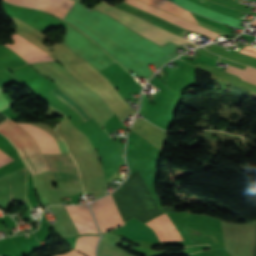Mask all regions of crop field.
I'll list each match as a JSON object with an SVG mask.
<instances>
[{
	"instance_id": "28ad6ade",
	"label": "crop field",
	"mask_w": 256,
	"mask_h": 256,
	"mask_svg": "<svg viewBox=\"0 0 256 256\" xmlns=\"http://www.w3.org/2000/svg\"><path fill=\"white\" fill-rule=\"evenodd\" d=\"M190 1H192L196 4H199L201 6H204L206 8L212 9L214 11H217L219 13L237 18V19H239V17L243 13L241 11H237V10H234V9H231V8H227V7H224L220 4L212 3V2L207 1V0H190Z\"/></svg>"
},
{
	"instance_id": "5a996713",
	"label": "crop field",
	"mask_w": 256,
	"mask_h": 256,
	"mask_svg": "<svg viewBox=\"0 0 256 256\" xmlns=\"http://www.w3.org/2000/svg\"><path fill=\"white\" fill-rule=\"evenodd\" d=\"M142 1L147 2L151 5L156 6L162 10H165L171 14H174L178 17H181L183 19H186L190 22L197 24L195 19L193 18V16L188 11H186V10H184L166 0H142Z\"/></svg>"
},
{
	"instance_id": "d8731c3e",
	"label": "crop field",
	"mask_w": 256,
	"mask_h": 256,
	"mask_svg": "<svg viewBox=\"0 0 256 256\" xmlns=\"http://www.w3.org/2000/svg\"><path fill=\"white\" fill-rule=\"evenodd\" d=\"M79 234H98L87 205L65 206Z\"/></svg>"
},
{
	"instance_id": "3316defc",
	"label": "crop field",
	"mask_w": 256,
	"mask_h": 256,
	"mask_svg": "<svg viewBox=\"0 0 256 256\" xmlns=\"http://www.w3.org/2000/svg\"><path fill=\"white\" fill-rule=\"evenodd\" d=\"M99 236H84L80 237L74 250L86 255L95 256V245Z\"/></svg>"
},
{
	"instance_id": "d9b57169",
	"label": "crop field",
	"mask_w": 256,
	"mask_h": 256,
	"mask_svg": "<svg viewBox=\"0 0 256 256\" xmlns=\"http://www.w3.org/2000/svg\"><path fill=\"white\" fill-rule=\"evenodd\" d=\"M238 52H242V53L256 57V48L250 47L248 45L240 49Z\"/></svg>"
},
{
	"instance_id": "34b2d1b8",
	"label": "crop field",
	"mask_w": 256,
	"mask_h": 256,
	"mask_svg": "<svg viewBox=\"0 0 256 256\" xmlns=\"http://www.w3.org/2000/svg\"><path fill=\"white\" fill-rule=\"evenodd\" d=\"M91 207L102 232L124 224L111 195L91 203Z\"/></svg>"
},
{
	"instance_id": "8a807250",
	"label": "crop field",
	"mask_w": 256,
	"mask_h": 256,
	"mask_svg": "<svg viewBox=\"0 0 256 256\" xmlns=\"http://www.w3.org/2000/svg\"><path fill=\"white\" fill-rule=\"evenodd\" d=\"M0 132L18 149L32 175L50 169L54 180L78 184L80 175L70 154H42L48 169L34 139L16 123L9 119L4 121L0 124Z\"/></svg>"
},
{
	"instance_id": "733c2abd",
	"label": "crop field",
	"mask_w": 256,
	"mask_h": 256,
	"mask_svg": "<svg viewBox=\"0 0 256 256\" xmlns=\"http://www.w3.org/2000/svg\"><path fill=\"white\" fill-rule=\"evenodd\" d=\"M0 91L2 90L0 89ZM8 107H10V104L7 102V100L4 98V96L0 92V111Z\"/></svg>"
},
{
	"instance_id": "5142ce71",
	"label": "crop field",
	"mask_w": 256,
	"mask_h": 256,
	"mask_svg": "<svg viewBox=\"0 0 256 256\" xmlns=\"http://www.w3.org/2000/svg\"><path fill=\"white\" fill-rule=\"evenodd\" d=\"M226 72L231 73V74L238 75V76L241 77V79H243V80H245V81H248V82H250V83L256 85V79H253V78H251V77L245 76V75H243V74L237 73V72L232 71V70H229V69H227Z\"/></svg>"
},
{
	"instance_id": "cbeb9de0",
	"label": "crop field",
	"mask_w": 256,
	"mask_h": 256,
	"mask_svg": "<svg viewBox=\"0 0 256 256\" xmlns=\"http://www.w3.org/2000/svg\"><path fill=\"white\" fill-rule=\"evenodd\" d=\"M7 1L10 3L24 5V6L33 7V8L36 7L38 2V0H7Z\"/></svg>"
},
{
	"instance_id": "ac0d7876",
	"label": "crop field",
	"mask_w": 256,
	"mask_h": 256,
	"mask_svg": "<svg viewBox=\"0 0 256 256\" xmlns=\"http://www.w3.org/2000/svg\"><path fill=\"white\" fill-rule=\"evenodd\" d=\"M94 8L117 18L130 29L138 32L139 34L145 36L146 38L152 40L160 46L169 41L176 43L178 45L189 43L185 39L178 38L137 18L129 16L115 8L106 5L103 2L99 3Z\"/></svg>"
},
{
	"instance_id": "f4fd0767",
	"label": "crop field",
	"mask_w": 256,
	"mask_h": 256,
	"mask_svg": "<svg viewBox=\"0 0 256 256\" xmlns=\"http://www.w3.org/2000/svg\"><path fill=\"white\" fill-rule=\"evenodd\" d=\"M36 141L42 153H68L64 142H55L46 131L30 124H20Z\"/></svg>"
},
{
	"instance_id": "dd49c442",
	"label": "crop field",
	"mask_w": 256,
	"mask_h": 256,
	"mask_svg": "<svg viewBox=\"0 0 256 256\" xmlns=\"http://www.w3.org/2000/svg\"><path fill=\"white\" fill-rule=\"evenodd\" d=\"M145 224L155 232L160 242L187 240L164 214Z\"/></svg>"
},
{
	"instance_id": "4a817a6b",
	"label": "crop field",
	"mask_w": 256,
	"mask_h": 256,
	"mask_svg": "<svg viewBox=\"0 0 256 256\" xmlns=\"http://www.w3.org/2000/svg\"><path fill=\"white\" fill-rule=\"evenodd\" d=\"M57 256H83V255H81V254H79V253H77V252H75V251H70L69 253H67V254H64V255H57Z\"/></svg>"
},
{
	"instance_id": "412701ff",
	"label": "crop field",
	"mask_w": 256,
	"mask_h": 256,
	"mask_svg": "<svg viewBox=\"0 0 256 256\" xmlns=\"http://www.w3.org/2000/svg\"><path fill=\"white\" fill-rule=\"evenodd\" d=\"M12 38L15 41V44H6V46L19 54L28 63L54 60L46 52L33 45L18 34L15 33Z\"/></svg>"
},
{
	"instance_id": "d1516ede",
	"label": "crop field",
	"mask_w": 256,
	"mask_h": 256,
	"mask_svg": "<svg viewBox=\"0 0 256 256\" xmlns=\"http://www.w3.org/2000/svg\"><path fill=\"white\" fill-rule=\"evenodd\" d=\"M57 88H58V87H57ZM57 88H55V89H57ZM55 89H54V90H55ZM58 89H60V88H58ZM58 89L55 91L58 95H60L64 100H66L68 103H70V104L81 114V116H82L84 119L88 118L87 116H89V114L84 110V108H83L81 105H79L77 102H75L73 99H71V100H73L75 103H77V104L82 108V110L85 112V114H86L87 116L84 114V112L81 110V108H80L77 104H75L73 101H71V100L69 99V97L66 96L67 94H66L63 90L60 89V90H61L62 92H64L66 95L63 94V93H62L61 91H59ZM54 90H53V91H54ZM53 91H51V92H53ZM55 92H53V93H54L55 95H57ZM58 95H57V96H58ZM58 97H59V96H58ZM61 97H59V98H61ZM62 98H61V99H62ZM63 99H62V100H63ZM64 100H63V101H64ZM66 101H64V102L67 103ZM68 103H67V104H68ZM70 104H68V105H69L71 108H73ZM74 108H73V109H74ZM75 109H74V110H75ZM76 110H75V111H76ZM77 111H76V113L79 115V113H78ZM79 116H80V115H79ZM81 116H80V117H81ZM82 117H81V119H82L84 122L87 121V120H89V119H91L90 116H89L90 118H88V119H86V120H84Z\"/></svg>"
},
{
	"instance_id": "e52e79f7",
	"label": "crop field",
	"mask_w": 256,
	"mask_h": 256,
	"mask_svg": "<svg viewBox=\"0 0 256 256\" xmlns=\"http://www.w3.org/2000/svg\"><path fill=\"white\" fill-rule=\"evenodd\" d=\"M125 2H128V3L138 7L140 9H143V10H146L148 12L154 13V14H156V15H158V16H160V17H162V18H164V19H166L168 21H171V22H173V23L183 27V28H186V29H189V30H192V31H196V32H199V33H202V34H205V35H207V36H209V37H211V38H213L215 40L218 37V34H216L214 32H211V31H209V30H207V29H205L203 27H199V26H197L195 24L187 22V21H185L183 19H180V18H178L176 16H173L171 14H168V13H166L164 11L156 9V8H154L152 6H149V5L145 4V3H142L140 1H137V0H125Z\"/></svg>"
},
{
	"instance_id": "bc2a9ffb",
	"label": "crop field",
	"mask_w": 256,
	"mask_h": 256,
	"mask_svg": "<svg viewBox=\"0 0 256 256\" xmlns=\"http://www.w3.org/2000/svg\"><path fill=\"white\" fill-rule=\"evenodd\" d=\"M252 25H255V26H256V20L252 23Z\"/></svg>"
},
{
	"instance_id": "22f410ed",
	"label": "crop field",
	"mask_w": 256,
	"mask_h": 256,
	"mask_svg": "<svg viewBox=\"0 0 256 256\" xmlns=\"http://www.w3.org/2000/svg\"><path fill=\"white\" fill-rule=\"evenodd\" d=\"M116 7L120 8L121 10H123V11H125V12H127V13H130V14H133V15H136V16H139V17H141V18H143V19H145V20H147V21H149V22H151V23H153V24H155V25H157V26H159V27L165 29V30H168V31H170V32H172V33H174V34H176V35L179 34V32H177V31H175V30H173V29H171V28H169V27H167V26H165V25H163V24H160V23H158V22H156V21H154V20H152V19H150V18H148V17H146V16H144V15H142V14H139V13H136V12H134V11L128 10V9H126V8L120 6V5H118V6H116Z\"/></svg>"
},
{
	"instance_id": "214f88e0",
	"label": "crop field",
	"mask_w": 256,
	"mask_h": 256,
	"mask_svg": "<svg viewBox=\"0 0 256 256\" xmlns=\"http://www.w3.org/2000/svg\"><path fill=\"white\" fill-rule=\"evenodd\" d=\"M0 166H1V164H0Z\"/></svg>"
}]
</instances>
